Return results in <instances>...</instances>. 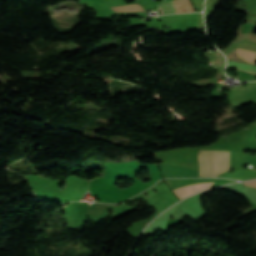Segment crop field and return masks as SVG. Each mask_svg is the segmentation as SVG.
Returning a JSON list of instances; mask_svg holds the SVG:
<instances>
[{
    "label": "crop field",
    "mask_w": 256,
    "mask_h": 256,
    "mask_svg": "<svg viewBox=\"0 0 256 256\" xmlns=\"http://www.w3.org/2000/svg\"><path fill=\"white\" fill-rule=\"evenodd\" d=\"M244 184L256 186V180L255 181H251V182H246Z\"/></svg>",
    "instance_id": "f4fd0767"
},
{
    "label": "crop field",
    "mask_w": 256,
    "mask_h": 256,
    "mask_svg": "<svg viewBox=\"0 0 256 256\" xmlns=\"http://www.w3.org/2000/svg\"><path fill=\"white\" fill-rule=\"evenodd\" d=\"M214 184H215V182L184 186V187L174 189V192L176 193L178 198L181 199L183 197H186L190 194H193V193L203 190L205 188L213 187Z\"/></svg>",
    "instance_id": "34b2d1b8"
},
{
    "label": "crop field",
    "mask_w": 256,
    "mask_h": 256,
    "mask_svg": "<svg viewBox=\"0 0 256 256\" xmlns=\"http://www.w3.org/2000/svg\"><path fill=\"white\" fill-rule=\"evenodd\" d=\"M180 1L186 12L195 11L189 0H180ZM180 1L179 0L170 1L176 13L185 12ZM170 2H166L162 5L164 14L175 13ZM162 8H161V14H163Z\"/></svg>",
    "instance_id": "ac0d7876"
},
{
    "label": "crop field",
    "mask_w": 256,
    "mask_h": 256,
    "mask_svg": "<svg viewBox=\"0 0 256 256\" xmlns=\"http://www.w3.org/2000/svg\"><path fill=\"white\" fill-rule=\"evenodd\" d=\"M206 54V53H205ZM207 55V54H206ZM210 59V58H209Z\"/></svg>",
    "instance_id": "dd49c442"
},
{
    "label": "crop field",
    "mask_w": 256,
    "mask_h": 256,
    "mask_svg": "<svg viewBox=\"0 0 256 256\" xmlns=\"http://www.w3.org/2000/svg\"><path fill=\"white\" fill-rule=\"evenodd\" d=\"M218 151L201 150L199 176L216 177ZM229 170V152L219 151L217 175Z\"/></svg>",
    "instance_id": "8a807250"
},
{
    "label": "crop field",
    "mask_w": 256,
    "mask_h": 256,
    "mask_svg": "<svg viewBox=\"0 0 256 256\" xmlns=\"http://www.w3.org/2000/svg\"><path fill=\"white\" fill-rule=\"evenodd\" d=\"M227 66L236 67V68L242 69L244 71L256 74V67L251 66V65L236 63V62H227Z\"/></svg>",
    "instance_id": "412701ff"
}]
</instances>
